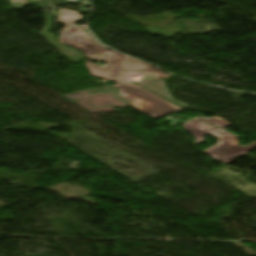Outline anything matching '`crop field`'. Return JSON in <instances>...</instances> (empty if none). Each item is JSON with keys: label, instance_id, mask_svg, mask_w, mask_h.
<instances>
[{"label": "crop field", "instance_id": "2", "mask_svg": "<svg viewBox=\"0 0 256 256\" xmlns=\"http://www.w3.org/2000/svg\"><path fill=\"white\" fill-rule=\"evenodd\" d=\"M183 127L185 131L191 133L196 138V144L204 141L203 135L206 133L219 138L217 145L204 152L224 164H227L256 149V142L246 147H242L236 143L239 138L238 136L196 119L183 124Z\"/></svg>", "mask_w": 256, "mask_h": 256}, {"label": "crop field", "instance_id": "4", "mask_svg": "<svg viewBox=\"0 0 256 256\" xmlns=\"http://www.w3.org/2000/svg\"><path fill=\"white\" fill-rule=\"evenodd\" d=\"M197 119L202 120L204 122H207L209 124L215 125L217 127H220L222 129H225V128L231 126L229 123L225 122L224 120H222L218 117H214V118H211V119H204V118L199 116Z\"/></svg>", "mask_w": 256, "mask_h": 256}, {"label": "crop field", "instance_id": "1", "mask_svg": "<svg viewBox=\"0 0 256 256\" xmlns=\"http://www.w3.org/2000/svg\"><path fill=\"white\" fill-rule=\"evenodd\" d=\"M58 12L63 15L56 18H60L59 22L66 26L61 33L60 41L87 52V56L89 57L108 62V65L102 66L101 68L87 63L93 75L121 83H127L140 81L144 75H155L159 73V70L149 65L88 44V36L81 31L85 26H74L77 20L82 19V16L74 11L66 9L59 10Z\"/></svg>", "mask_w": 256, "mask_h": 256}, {"label": "crop field", "instance_id": "3", "mask_svg": "<svg viewBox=\"0 0 256 256\" xmlns=\"http://www.w3.org/2000/svg\"><path fill=\"white\" fill-rule=\"evenodd\" d=\"M116 87L120 89L121 97L132 102V108L155 120L182 110L134 84L119 85Z\"/></svg>", "mask_w": 256, "mask_h": 256}]
</instances>
